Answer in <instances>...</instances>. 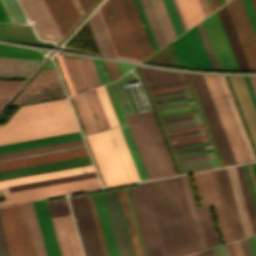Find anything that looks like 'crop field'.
Returning a JSON list of instances; mask_svg holds the SVG:
<instances>
[{"label":"crop field","instance_id":"crop-field-43","mask_svg":"<svg viewBox=\"0 0 256 256\" xmlns=\"http://www.w3.org/2000/svg\"><path fill=\"white\" fill-rule=\"evenodd\" d=\"M176 36L184 32L172 0H163Z\"/></svg>","mask_w":256,"mask_h":256},{"label":"crop field","instance_id":"crop-field-2","mask_svg":"<svg viewBox=\"0 0 256 256\" xmlns=\"http://www.w3.org/2000/svg\"><path fill=\"white\" fill-rule=\"evenodd\" d=\"M166 256H181L193 252L190 235L177 193L174 178L144 182ZM143 182L130 187L129 193L136 218L151 217L152 211ZM147 256H165L154 218L139 219Z\"/></svg>","mask_w":256,"mask_h":256},{"label":"crop field","instance_id":"crop-field-17","mask_svg":"<svg viewBox=\"0 0 256 256\" xmlns=\"http://www.w3.org/2000/svg\"><path fill=\"white\" fill-rule=\"evenodd\" d=\"M90 157H81L64 161L40 164L35 166L17 168L12 170L0 171V180L22 177L27 175L39 174L44 172L56 171L61 169L73 168L78 166L90 165Z\"/></svg>","mask_w":256,"mask_h":256},{"label":"crop field","instance_id":"crop-field-73","mask_svg":"<svg viewBox=\"0 0 256 256\" xmlns=\"http://www.w3.org/2000/svg\"><path fill=\"white\" fill-rule=\"evenodd\" d=\"M254 237H255V241H256V235Z\"/></svg>","mask_w":256,"mask_h":256},{"label":"crop field","instance_id":"crop-field-69","mask_svg":"<svg viewBox=\"0 0 256 256\" xmlns=\"http://www.w3.org/2000/svg\"><path fill=\"white\" fill-rule=\"evenodd\" d=\"M229 244H230V248H231V251H232V255L235 256L234 250H233V247H232V243L230 242Z\"/></svg>","mask_w":256,"mask_h":256},{"label":"crop field","instance_id":"crop-field-14","mask_svg":"<svg viewBox=\"0 0 256 256\" xmlns=\"http://www.w3.org/2000/svg\"><path fill=\"white\" fill-rule=\"evenodd\" d=\"M62 56L76 94L101 85L92 59Z\"/></svg>","mask_w":256,"mask_h":256},{"label":"crop field","instance_id":"crop-field-4","mask_svg":"<svg viewBox=\"0 0 256 256\" xmlns=\"http://www.w3.org/2000/svg\"><path fill=\"white\" fill-rule=\"evenodd\" d=\"M86 137L106 187L140 181L119 127Z\"/></svg>","mask_w":256,"mask_h":256},{"label":"crop field","instance_id":"crop-field-13","mask_svg":"<svg viewBox=\"0 0 256 256\" xmlns=\"http://www.w3.org/2000/svg\"><path fill=\"white\" fill-rule=\"evenodd\" d=\"M37 35L43 40L63 39L43 0H19Z\"/></svg>","mask_w":256,"mask_h":256},{"label":"crop field","instance_id":"crop-field-72","mask_svg":"<svg viewBox=\"0 0 256 256\" xmlns=\"http://www.w3.org/2000/svg\"><path fill=\"white\" fill-rule=\"evenodd\" d=\"M220 1H221V4H222V5L225 4L224 0H220Z\"/></svg>","mask_w":256,"mask_h":256},{"label":"crop field","instance_id":"crop-field-71","mask_svg":"<svg viewBox=\"0 0 256 256\" xmlns=\"http://www.w3.org/2000/svg\"><path fill=\"white\" fill-rule=\"evenodd\" d=\"M187 256H197V254L195 253V254H191V255H187Z\"/></svg>","mask_w":256,"mask_h":256},{"label":"crop field","instance_id":"crop-field-7","mask_svg":"<svg viewBox=\"0 0 256 256\" xmlns=\"http://www.w3.org/2000/svg\"><path fill=\"white\" fill-rule=\"evenodd\" d=\"M97 177L3 194L0 206L100 188Z\"/></svg>","mask_w":256,"mask_h":256},{"label":"crop field","instance_id":"crop-field-40","mask_svg":"<svg viewBox=\"0 0 256 256\" xmlns=\"http://www.w3.org/2000/svg\"><path fill=\"white\" fill-rule=\"evenodd\" d=\"M96 90L98 92L99 98L101 100V103L104 108L110 127L112 128V127L118 126L119 124L117 122V119L115 117V114L113 112V109L111 107V104L109 102V99L107 97L104 87L103 86L99 87Z\"/></svg>","mask_w":256,"mask_h":256},{"label":"crop field","instance_id":"crop-field-55","mask_svg":"<svg viewBox=\"0 0 256 256\" xmlns=\"http://www.w3.org/2000/svg\"><path fill=\"white\" fill-rule=\"evenodd\" d=\"M247 165H248V169H249V172H250L251 180H252L253 187H254L255 194H256V179H255V176H254L252 164L249 163V164H247Z\"/></svg>","mask_w":256,"mask_h":256},{"label":"crop field","instance_id":"crop-field-49","mask_svg":"<svg viewBox=\"0 0 256 256\" xmlns=\"http://www.w3.org/2000/svg\"><path fill=\"white\" fill-rule=\"evenodd\" d=\"M0 3L4 9V11L6 12L10 22H16L19 23L10 3L8 0H0Z\"/></svg>","mask_w":256,"mask_h":256},{"label":"crop field","instance_id":"crop-field-32","mask_svg":"<svg viewBox=\"0 0 256 256\" xmlns=\"http://www.w3.org/2000/svg\"><path fill=\"white\" fill-rule=\"evenodd\" d=\"M88 21L94 34L100 53L103 55L114 57L97 11L93 13V15L88 19Z\"/></svg>","mask_w":256,"mask_h":256},{"label":"crop field","instance_id":"crop-field-6","mask_svg":"<svg viewBox=\"0 0 256 256\" xmlns=\"http://www.w3.org/2000/svg\"><path fill=\"white\" fill-rule=\"evenodd\" d=\"M203 76L205 78L236 163L239 164L250 161L218 77L214 75Z\"/></svg>","mask_w":256,"mask_h":256},{"label":"crop field","instance_id":"crop-field-51","mask_svg":"<svg viewBox=\"0 0 256 256\" xmlns=\"http://www.w3.org/2000/svg\"><path fill=\"white\" fill-rule=\"evenodd\" d=\"M243 1H244V4L246 6V9L248 11L251 22H252L253 27H254L255 32H256V15H255L254 9L252 7L251 1L250 0H243Z\"/></svg>","mask_w":256,"mask_h":256},{"label":"crop field","instance_id":"crop-field-9","mask_svg":"<svg viewBox=\"0 0 256 256\" xmlns=\"http://www.w3.org/2000/svg\"><path fill=\"white\" fill-rule=\"evenodd\" d=\"M69 199L85 256H103L87 196Z\"/></svg>","mask_w":256,"mask_h":256},{"label":"crop field","instance_id":"crop-field-10","mask_svg":"<svg viewBox=\"0 0 256 256\" xmlns=\"http://www.w3.org/2000/svg\"><path fill=\"white\" fill-rule=\"evenodd\" d=\"M180 177L189 209L197 207L188 176L183 175ZM189 211L197 237L199 249L201 250L218 245L219 243L211 219L209 208H195Z\"/></svg>","mask_w":256,"mask_h":256},{"label":"crop field","instance_id":"crop-field-67","mask_svg":"<svg viewBox=\"0 0 256 256\" xmlns=\"http://www.w3.org/2000/svg\"><path fill=\"white\" fill-rule=\"evenodd\" d=\"M5 192H8L6 187L5 188H0V193H5Z\"/></svg>","mask_w":256,"mask_h":256},{"label":"crop field","instance_id":"crop-field-29","mask_svg":"<svg viewBox=\"0 0 256 256\" xmlns=\"http://www.w3.org/2000/svg\"><path fill=\"white\" fill-rule=\"evenodd\" d=\"M186 29L204 18L198 0H176Z\"/></svg>","mask_w":256,"mask_h":256},{"label":"crop field","instance_id":"crop-field-64","mask_svg":"<svg viewBox=\"0 0 256 256\" xmlns=\"http://www.w3.org/2000/svg\"><path fill=\"white\" fill-rule=\"evenodd\" d=\"M8 97H1L0 96V107L4 104Z\"/></svg>","mask_w":256,"mask_h":256},{"label":"crop field","instance_id":"crop-field-35","mask_svg":"<svg viewBox=\"0 0 256 256\" xmlns=\"http://www.w3.org/2000/svg\"><path fill=\"white\" fill-rule=\"evenodd\" d=\"M95 176H97V175H96L95 172H93V173L63 177V178H58V179L28 183V184H23V185L11 186V187H7V188H8V191L11 192V191H16V190L28 189V188H33V187L56 184V183L67 182V181L78 180V179H84V178L95 177Z\"/></svg>","mask_w":256,"mask_h":256},{"label":"crop field","instance_id":"crop-field-37","mask_svg":"<svg viewBox=\"0 0 256 256\" xmlns=\"http://www.w3.org/2000/svg\"><path fill=\"white\" fill-rule=\"evenodd\" d=\"M0 56L43 59L42 54L39 52L13 47L5 44H0Z\"/></svg>","mask_w":256,"mask_h":256},{"label":"crop field","instance_id":"crop-field-63","mask_svg":"<svg viewBox=\"0 0 256 256\" xmlns=\"http://www.w3.org/2000/svg\"><path fill=\"white\" fill-rule=\"evenodd\" d=\"M211 3L213 5L214 10H216L217 8H219L221 6L219 0H211Z\"/></svg>","mask_w":256,"mask_h":256},{"label":"crop field","instance_id":"crop-field-8","mask_svg":"<svg viewBox=\"0 0 256 256\" xmlns=\"http://www.w3.org/2000/svg\"><path fill=\"white\" fill-rule=\"evenodd\" d=\"M61 82L56 69L40 71L23 89L21 94L9 105H22L58 98H64Z\"/></svg>","mask_w":256,"mask_h":256},{"label":"crop field","instance_id":"crop-field-66","mask_svg":"<svg viewBox=\"0 0 256 256\" xmlns=\"http://www.w3.org/2000/svg\"><path fill=\"white\" fill-rule=\"evenodd\" d=\"M173 1H174L175 6H176L175 0H173ZM176 9H177V12H178V14H179L180 20H181V22H182L183 28H184V30L186 31V29H185V27H184V24H183V21H182V19H181L180 13H179V11H178L177 6H176Z\"/></svg>","mask_w":256,"mask_h":256},{"label":"crop field","instance_id":"crop-field-21","mask_svg":"<svg viewBox=\"0 0 256 256\" xmlns=\"http://www.w3.org/2000/svg\"><path fill=\"white\" fill-rule=\"evenodd\" d=\"M48 256H61L46 201L33 202Z\"/></svg>","mask_w":256,"mask_h":256},{"label":"crop field","instance_id":"crop-field-30","mask_svg":"<svg viewBox=\"0 0 256 256\" xmlns=\"http://www.w3.org/2000/svg\"><path fill=\"white\" fill-rule=\"evenodd\" d=\"M218 77L220 79L221 85L223 87V90L225 92L226 98H227L228 103L230 105L231 111H232L233 116L235 118L236 124L238 126V129H239V132H240L241 137L243 139L246 150L248 152L249 158H250L251 161H254V160H256L254 151H253L252 146L250 144V141L248 139L247 133H246L245 128L243 126V123L241 121L240 115H239L238 110L236 108V105L234 103V100H233V97H232L231 92L229 90V87L227 85L226 79H225L224 76H218Z\"/></svg>","mask_w":256,"mask_h":256},{"label":"crop field","instance_id":"crop-field-24","mask_svg":"<svg viewBox=\"0 0 256 256\" xmlns=\"http://www.w3.org/2000/svg\"><path fill=\"white\" fill-rule=\"evenodd\" d=\"M35 256H47L33 203L20 204Z\"/></svg>","mask_w":256,"mask_h":256},{"label":"crop field","instance_id":"crop-field-38","mask_svg":"<svg viewBox=\"0 0 256 256\" xmlns=\"http://www.w3.org/2000/svg\"><path fill=\"white\" fill-rule=\"evenodd\" d=\"M82 147H85L84 143L70 145V146H64V147H58V148H52V149H46V150H40V151H34V152H28V153H22V154L11 155V156H5V157H0V162L19 159V158H25V157H31V156H36V155L48 154V153H53V152L65 151V150H70V149L82 148Z\"/></svg>","mask_w":256,"mask_h":256},{"label":"crop field","instance_id":"crop-field-54","mask_svg":"<svg viewBox=\"0 0 256 256\" xmlns=\"http://www.w3.org/2000/svg\"><path fill=\"white\" fill-rule=\"evenodd\" d=\"M199 3H200V6L202 8L204 16H207L209 13H211L206 0H199Z\"/></svg>","mask_w":256,"mask_h":256},{"label":"crop field","instance_id":"crop-field-45","mask_svg":"<svg viewBox=\"0 0 256 256\" xmlns=\"http://www.w3.org/2000/svg\"><path fill=\"white\" fill-rule=\"evenodd\" d=\"M135 2H136V5H137V7H138L139 13H140V15H141L142 21H143V23L145 24V27H146V30H147V32H148V35H149V38H150V40H151L152 46H153V48H154V51H157V50H159V48H158V46H157V43H156L155 38H154V36H153V33H152V31H151L150 25H149V23H148V20H147V18H146V15H145V13H144V10H143V8H142V5H141V3H140V0H135Z\"/></svg>","mask_w":256,"mask_h":256},{"label":"crop field","instance_id":"crop-field-23","mask_svg":"<svg viewBox=\"0 0 256 256\" xmlns=\"http://www.w3.org/2000/svg\"><path fill=\"white\" fill-rule=\"evenodd\" d=\"M87 155H89V154H88V151L86 148L72 150V151H66V152H61V153H55V154L20 159V160H15V161L3 162V163H0V170L12 169V168H17V167L35 165V164H40V163L64 160V159L87 156Z\"/></svg>","mask_w":256,"mask_h":256},{"label":"crop field","instance_id":"crop-field-60","mask_svg":"<svg viewBox=\"0 0 256 256\" xmlns=\"http://www.w3.org/2000/svg\"><path fill=\"white\" fill-rule=\"evenodd\" d=\"M223 250H224V253H225V256H232L231 255V252H230V248H229V244H223Z\"/></svg>","mask_w":256,"mask_h":256},{"label":"crop field","instance_id":"crop-field-62","mask_svg":"<svg viewBox=\"0 0 256 256\" xmlns=\"http://www.w3.org/2000/svg\"><path fill=\"white\" fill-rule=\"evenodd\" d=\"M249 238H250V242H251V245H252L254 256H256V244H255V241H254V237L251 236Z\"/></svg>","mask_w":256,"mask_h":256},{"label":"crop field","instance_id":"crop-field-44","mask_svg":"<svg viewBox=\"0 0 256 256\" xmlns=\"http://www.w3.org/2000/svg\"><path fill=\"white\" fill-rule=\"evenodd\" d=\"M211 172H212V176H213L214 183H215V186H216V190H217V194H218L219 201H220V204H221V208H222V211H223V215H224V218H225V222H226V226H227L228 233H229V236H230V240L232 241V240H234V238H233V234H232V231H231V227H230V223H229V220H228V216H227V213H226V209H225V206H224V202H223V198H222V195H221V191H220V188H219V184H218V180H217V177H216V173H215V170H213Z\"/></svg>","mask_w":256,"mask_h":256},{"label":"crop field","instance_id":"crop-field-57","mask_svg":"<svg viewBox=\"0 0 256 256\" xmlns=\"http://www.w3.org/2000/svg\"><path fill=\"white\" fill-rule=\"evenodd\" d=\"M197 254H198V256H213L211 248L207 249L205 251H202V252H198Z\"/></svg>","mask_w":256,"mask_h":256},{"label":"crop field","instance_id":"crop-field-1","mask_svg":"<svg viewBox=\"0 0 256 256\" xmlns=\"http://www.w3.org/2000/svg\"><path fill=\"white\" fill-rule=\"evenodd\" d=\"M138 69L146 87L191 79L222 163L236 164L202 75ZM191 81L146 88L180 174L223 166Z\"/></svg>","mask_w":256,"mask_h":256},{"label":"crop field","instance_id":"crop-field-25","mask_svg":"<svg viewBox=\"0 0 256 256\" xmlns=\"http://www.w3.org/2000/svg\"><path fill=\"white\" fill-rule=\"evenodd\" d=\"M80 139L82 138L79 132L71 133L66 135H60V136H54L49 138H43L38 140L0 146V153L38 147V146H44V145H50V144H56V143H62V142H68V141H74V140H80Z\"/></svg>","mask_w":256,"mask_h":256},{"label":"crop field","instance_id":"crop-field-28","mask_svg":"<svg viewBox=\"0 0 256 256\" xmlns=\"http://www.w3.org/2000/svg\"><path fill=\"white\" fill-rule=\"evenodd\" d=\"M9 207L17 233L19 245L21 248L22 256H33L20 205H11Z\"/></svg>","mask_w":256,"mask_h":256},{"label":"crop field","instance_id":"crop-field-70","mask_svg":"<svg viewBox=\"0 0 256 256\" xmlns=\"http://www.w3.org/2000/svg\"><path fill=\"white\" fill-rule=\"evenodd\" d=\"M253 164V168H254V171H255V175H256V162L252 163Z\"/></svg>","mask_w":256,"mask_h":256},{"label":"crop field","instance_id":"crop-field-53","mask_svg":"<svg viewBox=\"0 0 256 256\" xmlns=\"http://www.w3.org/2000/svg\"><path fill=\"white\" fill-rule=\"evenodd\" d=\"M97 0H79L85 14L88 12V10L94 5V3ZM96 4V3H95Z\"/></svg>","mask_w":256,"mask_h":256},{"label":"crop field","instance_id":"crop-field-41","mask_svg":"<svg viewBox=\"0 0 256 256\" xmlns=\"http://www.w3.org/2000/svg\"><path fill=\"white\" fill-rule=\"evenodd\" d=\"M117 191H118V195H119V198H120L123 213H124V216H125L128 231H129V234H130L133 249H134V252H135V256H140L138 246H137V242H136L135 235H134V231H133V228H132L130 216H129V213H128L127 205H126V202H125L123 190L118 189Z\"/></svg>","mask_w":256,"mask_h":256},{"label":"crop field","instance_id":"crop-field-22","mask_svg":"<svg viewBox=\"0 0 256 256\" xmlns=\"http://www.w3.org/2000/svg\"><path fill=\"white\" fill-rule=\"evenodd\" d=\"M41 61L37 59L0 57V76L27 78Z\"/></svg>","mask_w":256,"mask_h":256},{"label":"crop field","instance_id":"crop-field-39","mask_svg":"<svg viewBox=\"0 0 256 256\" xmlns=\"http://www.w3.org/2000/svg\"><path fill=\"white\" fill-rule=\"evenodd\" d=\"M174 178H175V182H176V185H177V189H178V193H179V196H180V200H181V203H182V207H183V210H184V214H185V218H186V221H187V225H188V228H189V232H190V235H191V239H192V243H193V246H194V250L197 251L199 249H198L196 237H195V234H194L193 226H192V223H191L189 211H188V208H187L185 196H184V193H183L180 177L176 176Z\"/></svg>","mask_w":256,"mask_h":256},{"label":"crop field","instance_id":"crop-field-47","mask_svg":"<svg viewBox=\"0 0 256 256\" xmlns=\"http://www.w3.org/2000/svg\"><path fill=\"white\" fill-rule=\"evenodd\" d=\"M103 61L105 63V66L107 68V71H108L112 81L117 79L119 76H121L116 62L107 61V60H103Z\"/></svg>","mask_w":256,"mask_h":256},{"label":"crop field","instance_id":"crop-field-50","mask_svg":"<svg viewBox=\"0 0 256 256\" xmlns=\"http://www.w3.org/2000/svg\"><path fill=\"white\" fill-rule=\"evenodd\" d=\"M82 142H83V140L68 142V143H62V144H56V145H50V146H44V147H38V148H32V149H26V150H21V151L3 153V154H0V156L17 154V153H22V152L34 151V150H40V149H46V148H52V147H58V146H64V145H70V144H76V143H82Z\"/></svg>","mask_w":256,"mask_h":256},{"label":"crop field","instance_id":"crop-field-61","mask_svg":"<svg viewBox=\"0 0 256 256\" xmlns=\"http://www.w3.org/2000/svg\"><path fill=\"white\" fill-rule=\"evenodd\" d=\"M123 190H124V188H123ZM124 194H125V198H126V201H127V197H126V193H125V190H124ZM127 205H128L129 213H130V216H131V212H130V208H129V204H128V201H127ZM131 220H132V224H133V227H134V223H133V219H132V216H131ZM134 231H135V227H134ZM135 235H136V231H135ZM136 239H137V242H138V238H137V235H136ZM138 246H139V242H138ZM139 250H140V246H139ZM140 253H141V250H140ZM141 256H142V253H141Z\"/></svg>","mask_w":256,"mask_h":256},{"label":"crop field","instance_id":"crop-field-34","mask_svg":"<svg viewBox=\"0 0 256 256\" xmlns=\"http://www.w3.org/2000/svg\"><path fill=\"white\" fill-rule=\"evenodd\" d=\"M235 167H236L237 175H238L239 182L241 185V189H242V193L244 196V200H245V204L247 207L250 222L252 225L253 233L256 234V213H255L252 199L250 196V192H249L246 177L244 174L243 166L239 165V166H235Z\"/></svg>","mask_w":256,"mask_h":256},{"label":"crop field","instance_id":"crop-field-33","mask_svg":"<svg viewBox=\"0 0 256 256\" xmlns=\"http://www.w3.org/2000/svg\"><path fill=\"white\" fill-rule=\"evenodd\" d=\"M84 94L86 96V99L91 109L93 117L94 115H97L96 117H94V120L96 122L98 130L101 131V130L109 129L110 127L108 125L107 119L105 117V114L102 109L96 90L94 89V90L85 92Z\"/></svg>","mask_w":256,"mask_h":256},{"label":"crop field","instance_id":"crop-field-48","mask_svg":"<svg viewBox=\"0 0 256 256\" xmlns=\"http://www.w3.org/2000/svg\"><path fill=\"white\" fill-rule=\"evenodd\" d=\"M56 57H57V60H58V62H59L61 71H62L63 76H64V79H65V81H66L68 90H69V92H70V95L72 96V95H74L75 93H74L73 87H72V85H71V82H70V79H69V76H68L66 67H65V65H64L62 56L59 55V54H57Z\"/></svg>","mask_w":256,"mask_h":256},{"label":"crop field","instance_id":"crop-field-15","mask_svg":"<svg viewBox=\"0 0 256 256\" xmlns=\"http://www.w3.org/2000/svg\"><path fill=\"white\" fill-rule=\"evenodd\" d=\"M256 149V111L242 77L227 76Z\"/></svg>","mask_w":256,"mask_h":256},{"label":"crop field","instance_id":"crop-field-59","mask_svg":"<svg viewBox=\"0 0 256 256\" xmlns=\"http://www.w3.org/2000/svg\"><path fill=\"white\" fill-rule=\"evenodd\" d=\"M251 83V86L253 88V91L255 93L256 96V77H248Z\"/></svg>","mask_w":256,"mask_h":256},{"label":"crop field","instance_id":"crop-field-5","mask_svg":"<svg viewBox=\"0 0 256 256\" xmlns=\"http://www.w3.org/2000/svg\"><path fill=\"white\" fill-rule=\"evenodd\" d=\"M125 118L148 178L177 174L153 112H145Z\"/></svg>","mask_w":256,"mask_h":256},{"label":"crop field","instance_id":"crop-field-3","mask_svg":"<svg viewBox=\"0 0 256 256\" xmlns=\"http://www.w3.org/2000/svg\"><path fill=\"white\" fill-rule=\"evenodd\" d=\"M77 131L67 100L26 106L0 126V145Z\"/></svg>","mask_w":256,"mask_h":256},{"label":"crop field","instance_id":"crop-field-26","mask_svg":"<svg viewBox=\"0 0 256 256\" xmlns=\"http://www.w3.org/2000/svg\"><path fill=\"white\" fill-rule=\"evenodd\" d=\"M84 171H86V173H87V172H93L95 170H94L93 166L90 165V166L78 167V168L61 170V171H56V172L44 173V174H39V175L27 176V177H22V178L0 181V187L21 184V183H27V182H33V181H39V180H45V179H51V178H57V177H63V176H69V175H75V174H81V173H84Z\"/></svg>","mask_w":256,"mask_h":256},{"label":"crop field","instance_id":"crop-field-16","mask_svg":"<svg viewBox=\"0 0 256 256\" xmlns=\"http://www.w3.org/2000/svg\"><path fill=\"white\" fill-rule=\"evenodd\" d=\"M51 219L62 256H82L72 217Z\"/></svg>","mask_w":256,"mask_h":256},{"label":"crop field","instance_id":"crop-field-18","mask_svg":"<svg viewBox=\"0 0 256 256\" xmlns=\"http://www.w3.org/2000/svg\"><path fill=\"white\" fill-rule=\"evenodd\" d=\"M63 38L81 19L72 0H44Z\"/></svg>","mask_w":256,"mask_h":256},{"label":"crop field","instance_id":"crop-field-46","mask_svg":"<svg viewBox=\"0 0 256 256\" xmlns=\"http://www.w3.org/2000/svg\"><path fill=\"white\" fill-rule=\"evenodd\" d=\"M22 83L0 81V95L10 96Z\"/></svg>","mask_w":256,"mask_h":256},{"label":"crop field","instance_id":"crop-field-56","mask_svg":"<svg viewBox=\"0 0 256 256\" xmlns=\"http://www.w3.org/2000/svg\"><path fill=\"white\" fill-rule=\"evenodd\" d=\"M233 247H234V250H235V254L236 256H242V252H241V249H240V245H239V241H233Z\"/></svg>","mask_w":256,"mask_h":256},{"label":"crop field","instance_id":"crop-field-11","mask_svg":"<svg viewBox=\"0 0 256 256\" xmlns=\"http://www.w3.org/2000/svg\"><path fill=\"white\" fill-rule=\"evenodd\" d=\"M251 70H256V35L242 0L226 4ZM226 8V9H227Z\"/></svg>","mask_w":256,"mask_h":256},{"label":"crop field","instance_id":"crop-field-74","mask_svg":"<svg viewBox=\"0 0 256 256\" xmlns=\"http://www.w3.org/2000/svg\"><path fill=\"white\" fill-rule=\"evenodd\" d=\"M227 1H229V0H225V2H227Z\"/></svg>","mask_w":256,"mask_h":256},{"label":"crop field","instance_id":"crop-field-58","mask_svg":"<svg viewBox=\"0 0 256 256\" xmlns=\"http://www.w3.org/2000/svg\"><path fill=\"white\" fill-rule=\"evenodd\" d=\"M0 21H3V22H9L5 12L3 11L1 5H0Z\"/></svg>","mask_w":256,"mask_h":256},{"label":"crop field","instance_id":"crop-field-31","mask_svg":"<svg viewBox=\"0 0 256 256\" xmlns=\"http://www.w3.org/2000/svg\"><path fill=\"white\" fill-rule=\"evenodd\" d=\"M71 99L73 101V104L75 106V109L77 111L78 117L80 119L85 134L87 135L90 133L97 132L98 130L96 128L95 122L91 115L84 94L82 93L80 95L74 96Z\"/></svg>","mask_w":256,"mask_h":256},{"label":"crop field","instance_id":"crop-field-68","mask_svg":"<svg viewBox=\"0 0 256 256\" xmlns=\"http://www.w3.org/2000/svg\"><path fill=\"white\" fill-rule=\"evenodd\" d=\"M251 1H252L253 6H254V9L256 11V0H251Z\"/></svg>","mask_w":256,"mask_h":256},{"label":"crop field","instance_id":"crop-field-19","mask_svg":"<svg viewBox=\"0 0 256 256\" xmlns=\"http://www.w3.org/2000/svg\"><path fill=\"white\" fill-rule=\"evenodd\" d=\"M219 170L220 171H217V175H218L219 183L221 186L226 209L228 212L229 220L231 223V227L233 230L234 238L236 239V238L244 237L245 236L244 231H243L242 224H241V221L239 218V214L237 211V207L235 204L231 186H230V183L228 180L226 169L222 168Z\"/></svg>","mask_w":256,"mask_h":256},{"label":"crop field","instance_id":"crop-field-42","mask_svg":"<svg viewBox=\"0 0 256 256\" xmlns=\"http://www.w3.org/2000/svg\"><path fill=\"white\" fill-rule=\"evenodd\" d=\"M195 175V179L198 185V189L200 192V196L203 202V206H211L212 204V200H211V196H210V192L208 189V185H207V181H206V177H205V173H196Z\"/></svg>","mask_w":256,"mask_h":256},{"label":"crop field","instance_id":"crop-field-12","mask_svg":"<svg viewBox=\"0 0 256 256\" xmlns=\"http://www.w3.org/2000/svg\"><path fill=\"white\" fill-rule=\"evenodd\" d=\"M181 65L212 68L196 26L172 42Z\"/></svg>","mask_w":256,"mask_h":256},{"label":"crop field","instance_id":"crop-field-36","mask_svg":"<svg viewBox=\"0 0 256 256\" xmlns=\"http://www.w3.org/2000/svg\"><path fill=\"white\" fill-rule=\"evenodd\" d=\"M205 173H206L208 185H209V188H210V192H211L214 208H215V211H216L218 223H219V226H220L223 242L225 243V242H228L229 240H228L226 228H225V225H224L222 213H221V210H220L219 202H218V199H217L215 187H214V184H213L211 172L207 171Z\"/></svg>","mask_w":256,"mask_h":256},{"label":"crop field","instance_id":"crop-field-65","mask_svg":"<svg viewBox=\"0 0 256 256\" xmlns=\"http://www.w3.org/2000/svg\"><path fill=\"white\" fill-rule=\"evenodd\" d=\"M212 249H213L214 256H219L218 248L214 247Z\"/></svg>","mask_w":256,"mask_h":256},{"label":"crop field","instance_id":"crop-field-27","mask_svg":"<svg viewBox=\"0 0 256 256\" xmlns=\"http://www.w3.org/2000/svg\"><path fill=\"white\" fill-rule=\"evenodd\" d=\"M226 169H227L229 180H230V183H231V186H232V190H233V193H234V197H235V200H236V204H237V207H238L240 218H241V221H242V224H243L245 235L246 236L252 235L253 233H252L251 225H250L249 218H248V215H247V211H246V207H245V204H244V200H243V196H242V193H241L238 178H237V175H236L235 167L232 166V167H228Z\"/></svg>","mask_w":256,"mask_h":256},{"label":"crop field","instance_id":"crop-field-20","mask_svg":"<svg viewBox=\"0 0 256 256\" xmlns=\"http://www.w3.org/2000/svg\"><path fill=\"white\" fill-rule=\"evenodd\" d=\"M159 48L172 41L156 0H141Z\"/></svg>","mask_w":256,"mask_h":256},{"label":"crop field","instance_id":"crop-field-52","mask_svg":"<svg viewBox=\"0 0 256 256\" xmlns=\"http://www.w3.org/2000/svg\"><path fill=\"white\" fill-rule=\"evenodd\" d=\"M158 3H159V6H160V8H161V11H162V13H163L164 19H165L166 24H167V26H168V29H169V31H170L171 37H172V39H175L176 36H175V34H174L173 28H172L171 23H170V21H169V18H168V15H167V13H166V10H165V7H164V5H163L162 0H158Z\"/></svg>","mask_w":256,"mask_h":256}]
</instances>
